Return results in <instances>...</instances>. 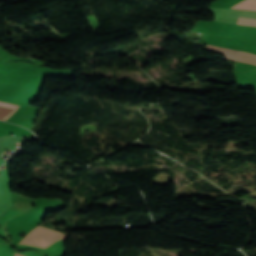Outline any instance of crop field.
I'll list each match as a JSON object with an SVG mask.
<instances>
[{"mask_svg":"<svg viewBox=\"0 0 256 256\" xmlns=\"http://www.w3.org/2000/svg\"><path fill=\"white\" fill-rule=\"evenodd\" d=\"M65 237V235L53 230L37 226L21 240L20 244L45 248L54 241Z\"/></svg>","mask_w":256,"mask_h":256,"instance_id":"obj_1","label":"crop field"},{"mask_svg":"<svg viewBox=\"0 0 256 256\" xmlns=\"http://www.w3.org/2000/svg\"><path fill=\"white\" fill-rule=\"evenodd\" d=\"M18 107V105L0 102V119H7Z\"/></svg>","mask_w":256,"mask_h":256,"instance_id":"obj_2","label":"crop field"},{"mask_svg":"<svg viewBox=\"0 0 256 256\" xmlns=\"http://www.w3.org/2000/svg\"><path fill=\"white\" fill-rule=\"evenodd\" d=\"M231 8L242 10H256V0H243Z\"/></svg>","mask_w":256,"mask_h":256,"instance_id":"obj_3","label":"crop field"},{"mask_svg":"<svg viewBox=\"0 0 256 256\" xmlns=\"http://www.w3.org/2000/svg\"><path fill=\"white\" fill-rule=\"evenodd\" d=\"M236 24L256 26V20L239 17Z\"/></svg>","mask_w":256,"mask_h":256,"instance_id":"obj_4","label":"crop field"},{"mask_svg":"<svg viewBox=\"0 0 256 256\" xmlns=\"http://www.w3.org/2000/svg\"><path fill=\"white\" fill-rule=\"evenodd\" d=\"M15 256H21V255H17V254H15Z\"/></svg>","mask_w":256,"mask_h":256,"instance_id":"obj_5","label":"crop field"}]
</instances>
